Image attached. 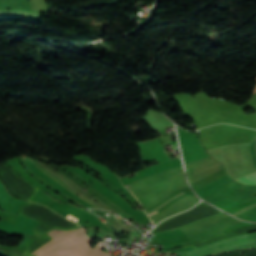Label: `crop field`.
<instances>
[{
	"mask_svg": "<svg viewBox=\"0 0 256 256\" xmlns=\"http://www.w3.org/2000/svg\"><path fill=\"white\" fill-rule=\"evenodd\" d=\"M38 221L18 216L15 224L2 220L0 222V232H20L23 234L35 235L32 228L37 226Z\"/></svg>",
	"mask_w": 256,
	"mask_h": 256,
	"instance_id": "3",
	"label": "crop field"
},
{
	"mask_svg": "<svg viewBox=\"0 0 256 256\" xmlns=\"http://www.w3.org/2000/svg\"><path fill=\"white\" fill-rule=\"evenodd\" d=\"M236 181H239V182L244 183V184H254V185H256V172H254L250 175H247L243 178H240Z\"/></svg>",
	"mask_w": 256,
	"mask_h": 256,
	"instance_id": "4",
	"label": "crop field"
},
{
	"mask_svg": "<svg viewBox=\"0 0 256 256\" xmlns=\"http://www.w3.org/2000/svg\"><path fill=\"white\" fill-rule=\"evenodd\" d=\"M240 248H256V232L217 241L211 245L182 252L184 256H206Z\"/></svg>",
	"mask_w": 256,
	"mask_h": 256,
	"instance_id": "2",
	"label": "crop field"
},
{
	"mask_svg": "<svg viewBox=\"0 0 256 256\" xmlns=\"http://www.w3.org/2000/svg\"><path fill=\"white\" fill-rule=\"evenodd\" d=\"M54 239L32 254L38 256H110L97 246H88L92 239H87L82 228L74 231L53 230L48 233Z\"/></svg>",
	"mask_w": 256,
	"mask_h": 256,
	"instance_id": "1",
	"label": "crop field"
}]
</instances>
